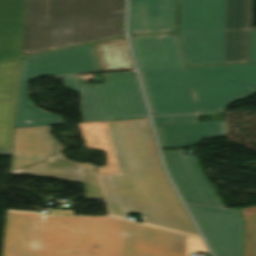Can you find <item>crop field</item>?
<instances>
[{"label":"crop field","mask_w":256,"mask_h":256,"mask_svg":"<svg viewBox=\"0 0 256 256\" xmlns=\"http://www.w3.org/2000/svg\"><path fill=\"white\" fill-rule=\"evenodd\" d=\"M187 238L110 217L7 211L3 256H186Z\"/></svg>","instance_id":"crop-field-1"},{"label":"crop field","mask_w":256,"mask_h":256,"mask_svg":"<svg viewBox=\"0 0 256 256\" xmlns=\"http://www.w3.org/2000/svg\"><path fill=\"white\" fill-rule=\"evenodd\" d=\"M130 40L152 115L213 112L256 94V64L184 68L174 34Z\"/></svg>","instance_id":"crop-field-2"},{"label":"crop field","mask_w":256,"mask_h":256,"mask_svg":"<svg viewBox=\"0 0 256 256\" xmlns=\"http://www.w3.org/2000/svg\"><path fill=\"white\" fill-rule=\"evenodd\" d=\"M116 176H101L113 214L199 236L161 166L149 122L101 125Z\"/></svg>","instance_id":"crop-field-3"},{"label":"crop field","mask_w":256,"mask_h":256,"mask_svg":"<svg viewBox=\"0 0 256 256\" xmlns=\"http://www.w3.org/2000/svg\"><path fill=\"white\" fill-rule=\"evenodd\" d=\"M187 66L256 62L253 0H177Z\"/></svg>","instance_id":"crop-field-4"},{"label":"crop field","mask_w":256,"mask_h":256,"mask_svg":"<svg viewBox=\"0 0 256 256\" xmlns=\"http://www.w3.org/2000/svg\"><path fill=\"white\" fill-rule=\"evenodd\" d=\"M125 0H27L22 53L124 35Z\"/></svg>","instance_id":"crop-field-5"},{"label":"crop field","mask_w":256,"mask_h":256,"mask_svg":"<svg viewBox=\"0 0 256 256\" xmlns=\"http://www.w3.org/2000/svg\"><path fill=\"white\" fill-rule=\"evenodd\" d=\"M64 150L49 126L14 128L11 174L81 182L87 199L103 198L94 165L69 161L62 154Z\"/></svg>","instance_id":"crop-field-6"},{"label":"crop field","mask_w":256,"mask_h":256,"mask_svg":"<svg viewBox=\"0 0 256 256\" xmlns=\"http://www.w3.org/2000/svg\"><path fill=\"white\" fill-rule=\"evenodd\" d=\"M101 72L94 45L21 58L14 127L63 124L61 116L45 112L28 98L27 84L37 76Z\"/></svg>","instance_id":"crop-field-7"},{"label":"crop field","mask_w":256,"mask_h":256,"mask_svg":"<svg viewBox=\"0 0 256 256\" xmlns=\"http://www.w3.org/2000/svg\"><path fill=\"white\" fill-rule=\"evenodd\" d=\"M103 76L105 83L95 84L62 76L67 89L81 94L84 122L148 118L135 72Z\"/></svg>","instance_id":"crop-field-8"},{"label":"crop field","mask_w":256,"mask_h":256,"mask_svg":"<svg viewBox=\"0 0 256 256\" xmlns=\"http://www.w3.org/2000/svg\"><path fill=\"white\" fill-rule=\"evenodd\" d=\"M216 256H242L243 221L238 210L187 204ZM246 219L245 256H256V206Z\"/></svg>","instance_id":"crop-field-9"},{"label":"crop field","mask_w":256,"mask_h":256,"mask_svg":"<svg viewBox=\"0 0 256 256\" xmlns=\"http://www.w3.org/2000/svg\"><path fill=\"white\" fill-rule=\"evenodd\" d=\"M162 153L169 173L185 201L214 206L221 205L205 177L196 155H183L182 150Z\"/></svg>","instance_id":"crop-field-10"},{"label":"crop field","mask_w":256,"mask_h":256,"mask_svg":"<svg viewBox=\"0 0 256 256\" xmlns=\"http://www.w3.org/2000/svg\"><path fill=\"white\" fill-rule=\"evenodd\" d=\"M176 0H131L130 35L174 32Z\"/></svg>","instance_id":"crop-field-11"},{"label":"crop field","mask_w":256,"mask_h":256,"mask_svg":"<svg viewBox=\"0 0 256 256\" xmlns=\"http://www.w3.org/2000/svg\"><path fill=\"white\" fill-rule=\"evenodd\" d=\"M162 149L194 145L204 138L226 135L224 121L155 125Z\"/></svg>","instance_id":"crop-field-12"},{"label":"crop field","mask_w":256,"mask_h":256,"mask_svg":"<svg viewBox=\"0 0 256 256\" xmlns=\"http://www.w3.org/2000/svg\"><path fill=\"white\" fill-rule=\"evenodd\" d=\"M26 0H0V61L20 57Z\"/></svg>","instance_id":"crop-field-13"},{"label":"crop field","mask_w":256,"mask_h":256,"mask_svg":"<svg viewBox=\"0 0 256 256\" xmlns=\"http://www.w3.org/2000/svg\"><path fill=\"white\" fill-rule=\"evenodd\" d=\"M94 45L102 72L134 70L124 37Z\"/></svg>","instance_id":"crop-field-14"},{"label":"crop field","mask_w":256,"mask_h":256,"mask_svg":"<svg viewBox=\"0 0 256 256\" xmlns=\"http://www.w3.org/2000/svg\"><path fill=\"white\" fill-rule=\"evenodd\" d=\"M15 106L0 104V155H11Z\"/></svg>","instance_id":"crop-field-15"},{"label":"crop field","mask_w":256,"mask_h":256,"mask_svg":"<svg viewBox=\"0 0 256 256\" xmlns=\"http://www.w3.org/2000/svg\"><path fill=\"white\" fill-rule=\"evenodd\" d=\"M19 67L0 71V103L16 104Z\"/></svg>","instance_id":"crop-field-16"},{"label":"crop field","mask_w":256,"mask_h":256,"mask_svg":"<svg viewBox=\"0 0 256 256\" xmlns=\"http://www.w3.org/2000/svg\"><path fill=\"white\" fill-rule=\"evenodd\" d=\"M198 118H199L198 115H191V116L161 117V118H153V119L155 124H164V123L196 121Z\"/></svg>","instance_id":"crop-field-17"},{"label":"crop field","mask_w":256,"mask_h":256,"mask_svg":"<svg viewBox=\"0 0 256 256\" xmlns=\"http://www.w3.org/2000/svg\"><path fill=\"white\" fill-rule=\"evenodd\" d=\"M20 58L0 63V70L19 66Z\"/></svg>","instance_id":"crop-field-18"}]
</instances>
